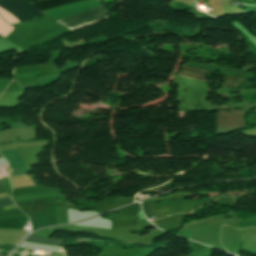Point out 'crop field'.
Wrapping results in <instances>:
<instances>
[{"instance_id":"15","label":"crop field","mask_w":256,"mask_h":256,"mask_svg":"<svg viewBox=\"0 0 256 256\" xmlns=\"http://www.w3.org/2000/svg\"><path fill=\"white\" fill-rule=\"evenodd\" d=\"M17 251H18V252H22V253H24L25 249H23V248H19Z\"/></svg>"},{"instance_id":"8","label":"crop field","mask_w":256,"mask_h":256,"mask_svg":"<svg viewBox=\"0 0 256 256\" xmlns=\"http://www.w3.org/2000/svg\"><path fill=\"white\" fill-rule=\"evenodd\" d=\"M30 169H31L30 167L14 169V170H11L9 176L25 174V173L30 172Z\"/></svg>"},{"instance_id":"5","label":"crop field","mask_w":256,"mask_h":256,"mask_svg":"<svg viewBox=\"0 0 256 256\" xmlns=\"http://www.w3.org/2000/svg\"><path fill=\"white\" fill-rule=\"evenodd\" d=\"M26 241H28V242H35V243H42V244H48V245H54V246H60L64 242V240L47 239V238L34 237V236H30Z\"/></svg>"},{"instance_id":"7","label":"crop field","mask_w":256,"mask_h":256,"mask_svg":"<svg viewBox=\"0 0 256 256\" xmlns=\"http://www.w3.org/2000/svg\"><path fill=\"white\" fill-rule=\"evenodd\" d=\"M225 76V81L223 86H227V87H231L233 88L234 86H236L240 81H242V78H236V77H231V76Z\"/></svg>"},{"instance_id":"3","label":"crop field","mask_w":256,"mask_h":256,"mask_svg":"<svg viewBox=\"0 0 256 256\" xmlns=\"http://www.w3.org/2000/svg\"><path fill=\"white\" fill-rule=\"evenodd\" d=\"M212 73H213L212 71H206V70L181 66L180 72L176 75L213 83V81L208 80V78L205 75V74H212Z\"/></svg>"},{"instance_id":"2","label":"crop field","mask_w":256,"mask_h":256,"mask_svg":"<svg viewBox=\"0 0 256 256\" xmlns=\"http://www.w3.org/2000/svg\"><path fill=\"white\" fill-rule=\"evenodd\" d=\"M0 7L13 14L20 22L33 20L31 17L43 15L27 0H0ZM1 8L0 15L6 22L10 24L19 22L13 15Z\"/></svg>"},{"instance_id":"6","label":"crop field","mask_w":256,"mask_h":256,"mask_svg":"<svg viewBox=\"0 0 256 256\" xmlns=\"http://www.w3.org/2000/svg\"><path fill=\"white\" fill-rule=\"evenodd\" d=\"M15 28L10 26L9 24L5 23L1 18H0V34L4 37H6L8 34H10Z\"/></svg>"},{"instance_id":"16","label":"crop field","mask_w":256,"mask_h":256,"mask_svg":"<svg viewBox=\"0 0 256 256\" xmlns=\"http://www.w3.org/2000/svg\"><path fill=\"white\" fill-rule=\"evenodd\" d=\"M0 38H2V37L0 36Z\"/></svg>"},{"instance_id":"12","label":"crop field","mask_w":256,"mask_h":256,"mask_svg":"<svg viewBox=\"0 0 256 256\" xmlns=\"http://www.w3.org/2000/svg\"><path fill=\"white\" fill-rule=\"evenodd\" d=\"M0 191H4L2 179H0Z\"/></svg>"},{"instance_id":"13","label":"crop field","mask_w":256,"mask_h":256,"mask_svg":"<svg viewBox=\"0 0 256 256\" xmlns=\"http://www.w3.org/2000/svg\"><path fill=\"white\" fill-rule=\"evenodd\" d=\"M54 256H66L65 253H54Z\"/></svg>"},{"instance_id":"9","label":"crop field","mask_w":256,"mask_h":256,"mask_svg":"<svg viewBox=\"0 0 256 256\" xmlns=\"http://www.w3.org/2000/svg\"><path fill=\"white\" fill-rule=\"evenodd\" d=\"M10 204H13V202L9 198L0 200V207L10 205Z\"/></svg>"},{"instance_id":"1","label":"crop field","mask_w":256,"mask_h":256,"mask_svg":"<svg viewBox=\"0 0 256 256\" xmlns=\"http://www.w3.org/2000/svg\"><path fill=\"white\" fill-rule=\"evenodd\" d=\"M82 0H47L42 2H36L32 3L39 11L45 10L48 8H52L55 6L63 5V4H69L74 3ZM108 14L107 11L104 9L103 6L56 21L70 30L79 28L85 25H88L90 23L103 20L108 18L106 15Z\"/></svg>"},{"instance_id":"4","label":"crop field","mask_w":256,"mask_h":256,"mask_svg":"<svg viewBox=\"0 0 256 256\" xmlns=\"http://www.w3.org/2000/svg\"><path fill=\"white\" fill-rule=\"evenodd\" d=\"M1 153L7 158L12 169L25 166L22 157L15 149L1 151Z\"/></svg>"},{"instance_id":"14","label":"crop field","mask_w":256,"mask_h":256,"mask_svg":"<svg viewBox=\"0 0 256 256\" xmlns=\"http://www.w3.org/2000/svg\"><path fill=\"white\" fill-rule=\"evenodd\" d=\"M33 252V250H31V249H27V251H26V253L25 254H27V255H31V253Z\"/></svg>"},{"instance_id":"11","label":"crop field","mask_w":256,"mask_h":256,"mask_svg":"<svg viewBox=\"0 0 256 256\" xmlns=\"http://www.w3.org/2000/svg\"><path fill=\"white\" fill-rule=\"evenodd\" d=\"M13 128H16V127H28L22 123H16V124H10Z\"/></svg>"},{"instance_id":"10","label":"crop field","mask_w":256,"mask_h":256,"mask_svg":"<svg viewBox=\"0 0 256 256\" xmlns=\"http://www.w3.org/2000/svg\"><path fill=\"white\" fill-rule=\"evenodd\" d=\"M153 250H156V249H153ZM153 250H141L142 256H151V253L153 252Z\"/></svg>"}]
</instances>
